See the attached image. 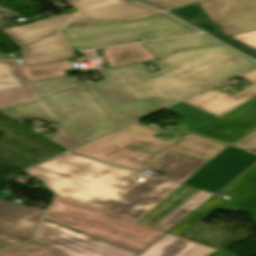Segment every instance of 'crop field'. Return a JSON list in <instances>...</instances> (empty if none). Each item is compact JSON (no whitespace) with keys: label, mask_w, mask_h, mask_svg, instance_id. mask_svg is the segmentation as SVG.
I'll return each mask as SVG.
<instances>
[{"label":"crop field","mask_w":256,"mask_h":256,"mask_svg":"<svg viewBox=\"0 0 256 256\" xmlns=\"http://www.w3.org/2000/svg\"><path fill=\"white\" fill-rule=\"evenodd\" d=\"M232 145L243 147V148H253L256 149V130L243 138L237 140Z\"/></svg>","instance_id":"27"},{"label":"crop field","mask_w":256,"mask_h":256,"mask_svg":"<svg viewBox=\"0 0 256 256\" xmlns=\"http://www.w3.org/2000/svg\"><path fill=\"white\" fill-rule=\"evenodd\" d=\"M38 98L30 83L0 89V106Z\"/></svg>","instance_id":"19"},{"label":"crop field","mask_w":256,"mask_h":256,"mask_svg":"<svg viewBox=\"0 0 256 256\" xmlns=\"http://www.w3.org/2000/svg\"><path fill=\"white\" fill-rule=\"evenodd\" d=\"M228 146L197 135L187 134L177 143L173 151L209 162Z\"/></svg>","instance_id":"13"},{"label":"crop field","mask_w":256,"mask_h":256,"mask_svg":"<svg viewBox=\"0 0 256 256\" xmlns=\"http://www.w3.org/2000/svg\"><path fill=\"white\" fill-rule=\"evenodd\" d=\"M216 250H213L211 248L205 247L203 245H201L200 247H198L196 250H194L191 254H189L188 256H206L212 252H214Z\"/></svg>","instance_id":"30"},{"label":"crop field","mask_w":256,"mask_h":256,"mask_svg":"<svg viewBox=\"0 0 256 256\" xmlns=\"http://www.w3.org/2000/svg\"><path fill=\"white\" fill-rule=\"evenodd\" d=\"M160 132L133 123L71 152L142 172L171 152L180 138L163 141L154 137Z\"/></svg>","instance_id":"6"},{"label":"crop field","mask_w":256,"mask_h":256,"mask_svg":"<svg viewBox=\"0 0 256 256\" xmlns=\"http://www.w3.org/2000/svg\"><path fill=\"white\" fill-rule=\"evenodd\" d=\"M209 256H233L232 254H230L229 252L225 251L224 249H221Z\"/></svg>","instance_id":"31"},{"label":"crop field","mask_w":256,"mask_h":256,"mask_svg":"<svg viewBox=\"0 0 256 256\" xmlns=\"http://www.w3.org/2000/svg\"><path fill=\"white\" fill-rule=\"evenodd\" d=\"M200 244L167 233L142 255L145 256H187Z\"/></svg>","instance_id":"15"},{"label":"crop field","mask_w":256,"mask_h":256,"mask_svg":"<svg viewBox=\"0 0 256 256\" xmlns=\"http://www.w3.org/2000/svg\"><path fill=\"white\" fill-rule=\"evenodd\" d=\"M26 172L55 194L137 221L180 184L65 153Z\"/></svg>","instance_id":"2"},{"label":"crop field","mask_w":256,"mask_h":256,"mask_svg":"<svg viewBox=\"0 0 256 256\" xmlns=\"http://www.w3.org/2000/svg\"><path fill=\"white\" fill-rule=\"evenodd\" d=\"M218 44L219 43L214 39L203 34H198L182 38L154 41L152 42L150 51L159 59H162L178 50Z\"/></svg>","instance_id":"14"},{"label":"crop field","mask_w":256,"mask_h":256,"mask_svg":"<svg viewBox=\"0 0 256 256\" xmlns=\"http://www.w3.org/2000/svg\"><path fill=\"white\" fill-rule=\"evenodd\" d=\"M46 219L140 253L164 232L56 196Z\"/></svg>","instance_id":"5"},{"label":"crop field","mask_w":256,"mask_h":256,"mask_svg":"<svg viewBox=\"0 0 256 256\" xmlns=\"http://www.w3.org/2000/svg\"><path fill=\"white\" fill-rule=\"evenodd\" d=\"M145 2H148L150 4H153L155 6L161 7L163 9L171 8V7H176V6H181L201 0H142Z\"/></svg>","instance_id":"24"},{"label":"crop field","mask_w":256,"mask_h":256,"mask_svg":"<svg viewBox=\"0 0 256 256\" xmlns=\"http://www.w3.org/2000/svg\"><path fill=\"white\" fill-rule=\"evenodd\" d=\"M201 30H203L204 32L214 36L215 38L227 43L228 45L238 49L239 51L251 56L252 58L256 59V52L246 46H244L243 44L233 40L232 38L222 34L219 31V26L209 23V22H203V23H195V24H191ZM250 57V58H251Z\"/></svg>","instance_id":"21"},{"label":"crop field","mask_w":256,"mask_h":256,"mask_svg":"<svg viewBox=\"0 0 256 256\" xmlns=\"http://www.w3.org/2000/svg\"><path fill=\"white\" fill-rule=\"evenodd\" d=\"M44 212L0 201V249L29 241Z\"/></svg>","instance_id":"10"},{"label":"crop field","mask_w":256,"mask_h":256,"mask_svg":"<svg viewBox=\"0 0 256 256\" xmlns=\"http://www.w3.org/2000/svg\"><path fill=\"white\" fill-rule=\"evenodd\" d=\"M60 127V125H59ZM66 132V131H65ZM63 129L60 127V131L59 133L54 137L52 138L53 140L69 147V148H73L75 146H77V144L71 139V137L66 134Z\"/></svg>","instance_id":"29"},{"label":"crop field","mask_w":256,"mask_h":256,"mask_svg":"<svg viewBox=\"0 0 256 256\" xmlns=\"http://www.w3.org/2000/svg\"><path fill=\"white\" fill-rule=\"evenodd\" d=\"M233 38L247 44L248 46L256 49V30L233 36Z\"/></svg>","instance_id":"28"},{"label":"crop field","mask_w":256,"mask_h":256,"mask_svg":"<svg viewBox=\"0 0 256 256\" xmlns=\"http://www.w3.org/2000/svg\"><path fill=\"white\" fill-rule=\"evenodd\" d=\"M18 17L21 16L0 8V30L15 27L16 25L10 19Z\"/></svg>","instance_id":"26"},{"label":"crop field","mask_w":256,"mask_h":256,"mask_svg":"<svg viewBox=\"0 0 256 256\" xmlns=\"http://www.w3.org/2000/svg\"><path fill=\"white\" fill-rule=\"evenodd\" d=\"M230 208L231 207L228 202L225 203L223 202L222 198L214 195L194 213L171 229L169 233L182 237L186 232L192 229L215 210H229Z\"/></svg>","instance_id":"16"},{"label":"crop field","mask_w":256,"mask_h":256,"mask_svg":"<svg viewBox=\"0 0 256 256\" xmlns=\"http://www.w3.org/2000/svg\"><path fill=\"white\" fill-rule=\"evenodd\" d=\"M199 4L230 36L256 29V0H208Z\"/></svg>","instance_id":"9"},{"label":"crop field","mask_w":256,"mask_h":256,"mask_svg":"<svg viewBox=\"0 0 256 256\" xmlns=\"http://www.w3.org/2000/svg\"><path fill=\"white\" fill-rule=\"evenodd\" d=\"M78 12L4 30L22 47L23 58L73 51L59 30L75 22L120 20L142 17L158 11L125 0H69ZM18 45V46H19Z\"/></svg>","instance_id":"4"},{"label":"crop field","mask_w":256,"mask_h":256,"mask_svg":"<svg viewBox=\"0 0 256 256\" xmlns=\"http://www.w3.org/2000/svg\"><path fill=\"white\" fill-rule=\"evenodd\" d=\"M28 82L15 60L0 61V88Z\"/></svg>","instance_id":"20"},{"label":"crop field","mask_w":256,"mask_h":256,"mask_svg":"<svg viewBox=\"0 0 256 256\" xmlns=\"http://www.w3.org/2000/svg\"><path fill=\"white\" fill-rule=\"evenodd\" d=\"M206 161L171 152L158 163H154L149 170L162 172V178L182 184L192 174L198 171Z\"/></svg>","instance_id":"12"},{"label":"crop field","mask_w":256,"mask_h":256,"mask_svg":"<svg viewBox=\"0 0 256 256\" xmlns=\"http://www.w3.org/2000/svg\"><path fill=\"white\" fill-rule=\"evenodd\" d=\"M73 57H76L74 53L41 57V58H33V59H25V60H22L23 63H21L19 65L23 66V65H29V64H36V63H42V62L68 59V58H73Z\"/></svg>","instance_id":"25"},{"label":"crop field","mask_w":256,"mask_h":256,"mask_svg":"<svg viewBox=\"0 0 256 256\" xmlns=\"http://www.w3.org/2000/svg\"><path fill=\"white\" fill-rule=\"evenodd\" d=\"M70 19V18H69ZM71 20V19H70ZM72 21V20H71ZM74 24H77V23H75L74 21H72Z\"/></svg>","instance_id":"32"},{"label":"crop field","mask_w":256,"mask_h":256,"mask_svg":"<svg viewBox=\"0 0 256 256\" xmlns=\"http://www.w3.org/2000/svg\"><path fill=\"white\" fill-rule=\"evenodd\" d=\"M170 12L184 18L189 22H199L210 20L209 16L204 12V10L199 6L198 3L185 6L182 8L170 10Z\"/></svg>","instance_id":"23"},{"label":"crop field","mask_w":256,"mask_h":256,"mask_svg":"<svg viewBox=\"0 0 256 256\" xmlns=\"http://www.w3.org/2000/svg\"><path fill=\"white\" fill-rule=\"evenodd\" d=\"M33 241L66 256H142L45 220Z\"/></svg>","instance_id":"8"},{"label":"crop field","mask_w":256,"mask_h":256,"mask_svg":"<svg viewBox=\"0 0 256 256\" xmlns=\"http://www.w3.org/2000/svg\"><path fill=\"white\" fill-rule=\"evenodd\" d=\"M255 162L256 155L229 146L138 222L167 232Z\"/></svg>","instance_id":"3"},{"label":"crop field","mask_w":256,"mask_h":256,"mask_svg":"<svg viewBox=\"0 0 256 256\" xmlns=\"http://www.w3.org/2000/svg\"><path fill=\"white\" fill-rule=\"evenodd\" d=\"M28 81L65 75L73 69L66 60L20 67Z\"/></svg>","instance_id":"18"},{"label":"crop field","mask_w":256,"mask_h":256,"mask_svg":"<svg viewBox=\"0 0 256 256\" xmlns=\"http://www.w3.org/2000/svg\"><path fill=\"white\" fill-rule=\"evenodd\" d=\"M197 32L164 13L133 21L79 24L61 30L69 45L81 50L134 42L137 38L146 41Z\"/></svg>","instance_id":"7"},{"label":"crop field","mask_w":256,"mask_h":256,"mask_svg":"<svg viewBox=\"0 0 256 256\" xmlns=\"http://www.w3.org/2000/svg\"><path fill=\"white\" fill-rule=\"evenodd\" d=\"M104 55L111 66L155 58L140 43L108 48Z\"/></svg>","instance_id":"17"},{"label":"crop field","mask_w":256,"mask_h":256,"mask_svg":"<svg viewBox=\"0 0 256 256\" xmlns=\"http://www.w3.org/2000/svg\"><path fill=\"white\" fill-rule=\"evenodd\" d=\"M0 256H64L37 243H28L0 252Z\"/></svg>","instance_id":"22"},{"label":"crop field","mask_w":256,"mask_h":256,"mask_svg":"<svg viewBox=\"0 0 256 256\" xmlns=\"http://www.w3.org/2000/svg\"><path fill=\"white\" fill-rule=\"evenodd\" d=\"M240 77L254 85L235 95L210 89L183 102L219 117L256 96V70Z\"/></svg>","instance_id":"11"},{"label":"crop field","mask_w":256,"mask_h":256,"mask_svg":"<svg viewBox=\"0 0 256 256\" xmlns=\"http://www.w3.org/2000/svg\"><path fill=\"white\" fill-rule=\"evenodd\" d=\"M222 45L178 51L154 74L140 63L100 70L104 80L87 85L66 76L32 81L40 98L0 112L58 122L80 145L256 67Z\"/></svg>","instance_id":"1"}]
</instances>
